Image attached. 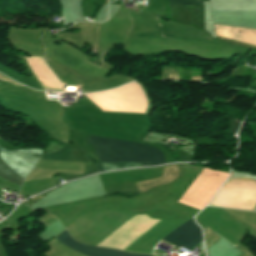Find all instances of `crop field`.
Wrapping results in <instances>:
<instances>
[{"instance_id": "obj_1", "label": "crop field", "mask_w": 256, "mask_h": 256, "mask_svg": "<svg viewBox=\"0 0 256 256\" xmlns=\"http://www.w3.org/2000/svg\"><path fill=\"white\" fill-rule=\"evenodd\" d=\"M100 162H138L158 165L165 163L162 152L154 147L125 140L88 136Z\"/></svg>"}, {"instance_id": "obj_2", "label": "crop field", "mask_w": 256, "mask_h": 256, "mask_svg": "<svg viewBox=\"0 0 256 256\" xmlns=\"http://www.w3.org/2000/svg\"><path fill=\"white\" fill-rule=\"evenodd\" d=\"M102 111L145 114L148 106L140 84L133 82L120 88L87 95Z\"/></svg>"}, {"instance_id": "obj_3", "label": "crop field", "mask_w": 256, "mask_h": 256, "mask_svg": "<svg viewBox=\"0 0 256 256\" xmlns=\"http://www.w3.org/2000/svg\"><path fill=\"white\" fill-rule=\"evenodd\" d=\"M42 151L35 149H24L8 152L0 151L1 159L19 176L26 177L38 162Z\"/></svg>"}, {"instance_id": "obj_4", "label": "crop field", "mask_w": 256, "mask_h": 256, "mask_svg": "<svg viewBox=\"0 0 256 256\" xmlns=\"http://www.w3.org/2000/svg\"><path fill=\"white\" fill-rule=\"evenodd\" d=\"M163 239L167 240L168 242L172 243L177 247L183 246L188 250L200 241H202L201 230L193 222V219L185 222Z\"/></svg>"}, {"instance_id": "obj_5", "label": "crop field", "mask_w": 256, "mask_h": 256, "mask_svg": "<svg viewBox=\"0 0 256 256\" xmlns=\"http://www.w3.org/2000/svg\"><path fill=\"white\" fill-rule=\"evenodd\" d=\"M33 74L44 89L63 90L61 83L46 66L43 57H25Z\"/></svg>"}, {"instance_id": "obj_6", "label": "crop field", "mask_w": 256, "mask_h": 256, "mask_svg": "<svg viewBox=\"0 0 256 256\" xmlns=\"http://www.w3.org/2000/svg\"><path fill=\"white\" fill-rule=\"evenodd\" d=\"M56 239L77 250L78 252L87 255V256H145V255H134L129 253H123L117 250H111V249H103V248H95L90 247L87 245L80 244L78 242H75L69 235L68 231L65 230L63 233H61L59 236L56 237Z\"/></svg>"}, {"instance_id": "obj_7", "label": "crop field", "mask_w": 256, "mask_h": 256, "mask_svg": "<svg viewBox=\"0 0 256 256\" xmlns=\"http://www.w3.org/2000/svg\"><path fill=\"white\" fill-rule=\"evenodd\" d=\"M148 164H138V163H114V164H95L98 172L112 170L117 168H128L137 166H146Z\"/></svg>"}, {"instance_id": "obj_8", "label": "crop field", "mask_w": 256, "mask_h": 256, "mask_svg": "<svg viewBox=\"0 0 256 256\" xmlns=\"http://www.w3.org/2000/svg\"><path fill=\"white\" fill-rule=\"evenodd\" d=\"M0 176L6 180L21 185L23 179L15 175L0 159Z\"/></svg>"}, {"instance_id": "obj_9", "label": "crop field", "mask_w": 256, "mask_h": 256, "mask_svg": "<svg viewBox=\"0 0 256 256\" xmlns=\"http://www.w3.org/2000/svg\"><path fill=\"white\" fill-rule=\"evenodd\" d=\"M209 1V0H204ZM203 4V0H168V6Z\"/></svg>"}]
</instances>
